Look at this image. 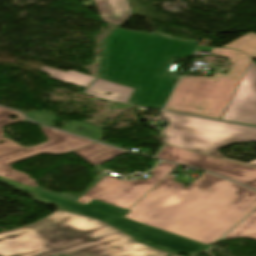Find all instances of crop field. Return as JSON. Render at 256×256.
<instances>
[{
    "label": "crop field",
    "mask_w": 256,
    "mask_h": 256,
    "mask_svg": "<svg viewBox=\"0 0 256 256\" xmlns=\"http://www.w3.org/2000/svg\"><path fill=\"white\" fill-rule=\"evenodd\" d=\"M13 114L18 113L8 109L0 108V140L4 141L2 144H0V175L6 178L41 189L37 187L35 180L29 178V175L13 170L10 164L30 158L40 153L62 154L94 143L92 141L81 139L75 136L58 132L50 128L40 126L41 130L49 141L30 148L19 146L11 140L2 138V136H4V131L2 127L21 120H25V118L20 114H18L20 118L14 121L7 119V116ZM100 180L101 178L97 177V180L92 185H90L79 197L69 194L52 193L44 189L41 190L76 201Z\"/></svg>",
    "instance_id": "e52e79f7"
},
{
    "label": "crop field",
    "mask_w": 256,
    "mask_h": 256,
    "mask_svg": "<svg viewBox=\"0 0 256 256\" xmlns=\"http://www.w3.org/2000/svg\"><path fill=\"white\" fill-rule=\"evenodd\" d=\"M168 175L124 217L210 245L256 208V192L204 172L188 187Z\"/></svg>",
    "instance_id": "8a807250"
},
{
    "label": "crop field",
    "mask_w": 256,
    "mask_h": 256,
    "mask_svg": "<svg viewBox=\"0 0 256 256\" xmlns=\"http://www.w3.org/2000/svg\"><path fill=\"white\" fill-rule=\"evenodd\" d=\"M168 256L83 215L58 210L45 219L0 234V256Z\"/></svg>",
    "instance_id": "ac0d7876"
},
{
    "label": "crop field",
    "mask_w": 256,
    "mask_h": 256,
    "mask_svg": "<svg viewBox=\"0 0 256 256\" xmlns=\"http://www.w3.org/2000/svg\"><path fill=\"white\" fill-rule=\"evenodd\" d=\"M176 167L161 162L150 171L153 176L146 181H122L107 175L77 202L87 204L95 199L128 210Z\"/></svg>",
    "instance_id": "d8731c3e"
},
{
    "label": "crop field",
    "mask_w": 256,
    "mask_h": 256,
    "mask_svg": "<svg viewBox=\"0 0 256 256\" xmlns=\"http://www.w3.org/2000/svg\"><path fill=\"white\" fill-rule=\"evenodd\" d=\"M0 179L36 194V198L40 201H54L61 208L79 212L86 216L100 218L101 220L110 223L114 227L134 235L138 241L167 252L182 251L183 253L194 255L209 248L189 239L172 235L132 220L124 219L122 217L125 216L128 211L109 204L93 200L89 204L85 205L45 193L1 176Z\"/></svg>",
    "instance_id": "f4fd0767"
},
{
    "label": "crop field",
    "mask_w": 256,
    "mask_h": 256,
    "mask_svg": "<svg viewBox=\"0 0 256 256\" xmlns=\"http://www.w3.org/2000/svg\"><path fill=\"white\" fill-rule=\"evenodd\" d=\"M196 50L212 51L232 63L227 75L181 78L166 109L181 113L221 119L249 61L238 50L197 46Z\"/></svg>",
    "instance_id": "412701ff"
},
{
    "label": "crop field",
    "mask_w": 256,
    "mask_h": 256,
    "mask_svg": "<svg viewBox=\"0 0 256 256\" xmlns=\"http://www.w3.org/2000/svg\"><path fill=\"white\" fill-rule=\"evenodd\" d=\"M162 116L169 118L170 123V126H166L162 131L167 136L166 144L186 150L238 162L225 158L218 152V149L237 142H256V128L253 127L198 119L168 112H163ZM246 165L256 167V160Z\"/></svg>",
    "instance_id": "dd49c442"
},
{
    "label": "crop field",
    "mask_w": 256,
    "mask_h": 256,
    "mask_svg": "<svg viewBox=\"0 0 256 256\" xmlns=\"http://www.w3.org/2000/svg\"><path fill=\"white\" fill-rule=\"evenodd\" d=\"M225 48L239 49L252 58H256V34L249 32L240 39L224 46Z\"/></svg>",
    "instance_id": "4a817a6b"
},
{
    "label": "crop field",
    "mask_w": 256,
    "mask_h": 256,
    "mask_svg": "<svg viewBox=\"0 0 256 256\" xmlns=\"http://www.w3.org/2000/svg\"><path fill=\"white\" fill-rule=\"evenodd\" d=\"M123 107H127V105L113 104L109 108H111V109H119V108H123Z\"/></svg>",
    "instance_id": "92a150f3"
},
{
    "label": "crop field",
    "mask_w": 256,
    "mask_h": 256,
    "mask_svg": "<svg viewBox=\"0 0 256 256\" xmlns=\"http://www.w3.org/2000/svg\"><path fill=\"white\" fill-rule=\"evenodd\" d=\"M256 77V64L250 61L222 119L233 121L239 111L254 79Z\"/></svg>",
    "instance_id": "d1516ede"
},
{
    "label": "crop field",
    "mask_w": 256,
    "mask_h": 256,
    "mask_svg": "<svg viewBox=\"0 0 256 256\" xmlns=\"http://www.w3.org/2000/svg\"><path fill=\"white\" fill-rule=\"evenodd\" d=\"M101 20L120 26L133 16L127 0H94Z\"/></svg>",
    "instance_id": "3316defc"
},
{
    "label": "crop field",
    "mask_w": 256,
    "mask_h": 256,
    "mask_svg": "<svg viewBox=\"0 0 256 256\" xmlns=\"http://www.w3.org/2000/svg\"><path fill=\"white\" fill-rule=\"evenodd\" d=\"M28 118H30L31 120L47 125V126H52V123L55 119L54 115L51 114H47L44 112H40V111H34L31 113H27L25 114Z\"/></svg>",
    "instance_id": "214f88e0"
},
{
    "label": "crop field",
    "mask_w": 256,
    "mask_h": 256,
    "mask_svg": "<svg viewBox=\"0 0 256 256\" xmlns=\"http://www.w3.org/2000/svg\"><path fill=\"white\" fill-rule=\"evenodd\" d=\"M133 90V88L98 78L85 93L113 102L127 103ZM107 92L111 94L106 95Z\"/></svg>",
    "instance_id": "28ad6ade"
},
{
    "label": "crop field",
    "mask_w": 256,
    "mask_h": 256,
    "mask_svg": "<svg viewBox=\"0 0 256 256\" xmlns=\"http://www.w3.org/2000/svg\"><path fill=\"white\" fill-rule=\"evenodd\" d=\"M236 237L256 240V212L253 213L249 218H247L243 223H241L222 240L232 239Z\"/></svg>",
    "instance_id": "733c2abd"
},
{
    "label": "crop field",
    "mask_w": 256,
    "mask_h": 256,
    "mask_svg": "<svg viewBox=\"0 0 256 256\" xmlns=\"http://www.w3.org/2000/svg\"><path fill=\"white\" fill-rule=\"evenodd\" d=\"M182 164L201 167L256 189V168L194 152Z\"/></svg>",
    "instance_id": "5a996713"
},
{
    "label": "crop field",
    "mask_w": 256,
    "mask_h": 256,
    "mask_svg": "<svg viewBox=\"0 0 256 256\" xmlns=\"http://www.w3.org/2000/svg\"><path fill=\"white\" fill-rule=\"evenodd\" d=\"M74 152L88 160L94 166L111 160L121 154L127 153L97 143L78 149Z\"/></svg>",
    "instance_id": "22f410ed"
},
{
    "label": "crop field",
    "mask_w": 256,
    "mask_h": 256,
    "mask_svg": "<svg viewBox=\"0 0 256 256\" xmlns=\"http://www.w3.org/2000/svg\"><path fill=\"white\" fill-rule=\"evenodd\" d=\"M197 44L115 29L104 39L99 77L135 88L128 103L163 109L178 80L163 77L171 58L192 56Z\"/></svg>",
    "instance_id": "34b2d1b8"
},
{
    "label": "crop field",
    "mask_w": 256,
    "mask_h": 256,
    "mask_svg": "<svg viewBox=\"0 0 256 256\" xmlns=\"http://www.w3.org/2000/svg\"><path fill=\"white\" fill-rule=\"evenodd\" d=\"M62 130H65L80 136H84L96 141L102 138L101 128H98L93 125L85 124V123L76 122V121H72L67 126H65ZM99 142H102V141H99ZM103 143H106V142H103ZM106 144H109V143H106ZM109 145L116 146L113 144H109ZM116 147L122 148L121 146H116Z\"/></svg>",
    "instance_id": "d9b57169"
},
{
    "label": "crop field",
    "mask_w": 256,
    "mask_h": 256,
    "mask_svg": "<svg viewBox=\"0 0 256 256\" xmlns=\"http://www.w3.org/2000/svg\"><path fill=\"white\" fill-rule=\"evenodd\" d=\"M234 121L256 125V79Z\"/></svg>",
    "instance_id": "5142ce71"
},
{
    "label": "crop field",
    "mask_w": 256,
    "mask_h": 256,
    "mask_svg": "<svg viewBox=\"0 0 256 256\" xmlns=\"http://www.w3.org/2000/svg\"><path fill=\"white\" fill-rule=\"evenodd\" d=\"M193 151H186L176 147L166 145L157 155L158 158L169 160L172 162L180 163L186 157H188Z\"/></svg>",
    "instance_id": "bc2a9ffb"
},
{
    "label": "crop field",
    "mask_w": 256,
    "mask_h": 256,
    "mask_svg": "<svg viewBox=\"0 0 256 256\" xmlns=\"http://www.w3.org/2000/svg\"><path fill=\"white\" fill-rule=\"evenodd\" d=\"M48 74H52L50 78H54L57 80H61L64 82H68L71 84L79 85L88 88L95 80L96 78L87 76L85 74L70 70L68 73L59 71L53 68H49L44 66L42 69H40Z\"/></svg>",
    "instance_id": "cbeb9de0"
}]
</instances>
